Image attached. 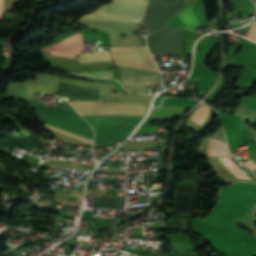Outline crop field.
Instances as JSON below:
<instances>
[{"label": "crop field", "mask_w": 256, "mask_h": 256, "mask_svg": "<svg viewBox=\"0 0 256 256\" xmlns=\"http://www.w3.org/2000/svg\"><path fill=\"white\" fill-rule=\"evenodd\" d=\"M147 3V0H111L110 4L81 18L141 23Z\"/></svg>", "instance_id": "obj_1"}, {"label": "crop field", "mask_w": 256, "mask_h": 256, "mask_svg": "<svg viewBox=\"0 0 256 256\" xmlns=\"http://www.w3.org/2000/svg\"><path fill=\"white\" fill-rule=\"evenodd\" d=\"M69 102L81 115L145 116L147 105L132 103Z\"/></svg>", "instance_id": "obj_2"}, {"label": "crop field", "mask_w": 256, "mask_h": 256, "mask_svg": "<svg viewBox=\"0 0 256 256\" xmlns=\"http://www.w3.org/2000/svg\"><path fill=\"white\" fill-rule=\"evenodd\" d=\"M111 50L112 57L118 66L159 72L154 59L146 48H118Z\"/></svg>", "instance_id": "obj_3"}, {"label": "crop field", "mask_w": 256, "mask_h": 256, "mask_svg": "<svg viewBox=\"0 0 256 256\" xmlns=\"http://www.w3.org/2000/svg\"><path fill=\"white\" fill-rule=\"evenodd\" d=\"M50 50L53 55H62L66 57H74L82 50V41L80 32L65 38L55 44L44 47L41 51Z\"/></svg>", "instance_id": "obj_4"}, {"label": "crop field", "mask_w": 256, "mask_h": 256, "mask_svg": "<svg viewBox=\"0 0 256 256\" xmlns=\"http://www.w3.org/2000/svg\"><path fill=\"white\" fill-rule=\"evenodd\" d=\"M123 83L140 85H160V74L119 67Z\"/></svg>", "instance_id": "obj_5"}, {"label": "crop field", "mask_w": 256, "mask_h": 256, "mask_svg": "<svg viewBox=\"0 0 256 256\" xmlns=\"http://www.w3.org/2000/svg\"><path fill=\"white\" fill-rule=\"evenodd\" d=\"M176 16L182 20L188 28L194 31L195 27L199 26L198 20L193 13L192 4L185 6Z\"/></svg>", "instance_id": "obj_6"}, {"label": "crop field", "mask_w": 256, "mask_h": 256, "mask_svg": "<svg viewBox=\"0 0 256 256\" xmlns=\"http://www.w3.org/2000/svg\"><path fill=\"white\" fill-rule=\"evenodd\" d=\"M208 154L209 156L229 155L226 144L218 140L209 141Z\"/></svg>", "instance_id": "obj_7"}, {"label": "crop field", "mask_w": 256, "mask_h": 256, "mask_svg": "<svg viewBox=\"0 0 256 256\" xmlns=\"http://www.w3.org/2000/svg\"><path fill=\"white\" fill-rule=\"evenodd\" d=\"M76 59H78L81 62L101 61V60H109L110 55L108 52H105V51L92 53V54L83 53L79 55V57Z\"/></svg>", "instance_id": "obj_8"}, {"label": "crop field", "mask_w": 256, "mask_h": 256, "mask_svg": "<svg viewBox=\"0 0 256 256\" xmlns=\"http://www.w3.org/2000/svg\"><path fill=\"white\" fill-rule=\"evenodd\" d=\"M218 158L224 164V166L228 169V171L236 176V178L251 179L247 174H245L238 167H236L230 161L229 157H218Z\"/></svg>", "instance_id": "obj_9"}, {"label": "crop field", "mask_w": 256, "mask_h": 256, "mask_svg": "<svg viewBox=\"0 0 256 256\" xmlns=\"http://www.w3.org/2000/svg\"><path fill=\"white\" fill-rule=\"evenodd\" d=\"M210 109L211 108L202 105L193 112L189 119L201 125L207 117Z\"/></svg>", "instance_id": "obj_10"}, {"label": "crop field", "mask_w": 256, "mask_h": 256, "mask_svg": "<svg viewBox=\"0 0 256 256\" xmlns=\"http://www.w3.org/2000/svg\"><path fill=\"white\" fill-rule=\"evenodd\" d=\"M46 127L49 128V129H51V130H54V131H56V132H59V133H61V134H64V135H67V136L76 138V139H78V140H81V141H83V142H85V143H90V144H92V142H93L92 140H89V139H86V138H84V137H81V136H78V135L69 133V132H67V131H64V130L55 128V127L50 126V125H47V124H46Z\"/></svg>", "instance_id": "obj_11"}, {"label": "crop field", "mask_w": 256, "mask_h": 256, "mask_svg": "<svg viewBox=\"0 0 256 256\" xmlns=\"http://www.w3.org/2000/svg\"><path fill=\"white\" fill-rule=\"evenodd\" d=\"M79 74H83L87 76H95V77L112 78L111 71H87Z\"/></svg>", "instance_id": "obj_12"}, {"label": "crop field", "mask_w": 256, "mask_h": 256, "mask_svg": "<svg viewBox=\"0 0 256 256\" xmlns=\"http://www.w3.org/2000/svg\"><path fill=\"white\" fill-rule=\"evenodd\" d=\"M102 34L85 32L84 40H101Z\"/></svg>", "instance_id": "obj_13"}, {"label": "crop field", "mask_w": 256, "mask_h": 256, "mask_svg": "<svg viewBox=\"0 0 256 256\" xmlns=\"http://www.w3.org/2000/svg\"><path fill=\"white\" fill-rule=\"evenodd\" d=\"M247 38H250V39H253L256 41V22H254L250 29H249V32L247 34Z\"/></svg>", "instance_id": "obj_14"}, {"label": "crop field", "mask_w": 256, "mask_h": 256, "mask_svg": "<svg viewBox=\"0 0 256 256\" xmlns=\"http://www.w3.org/2000/svg\"><path fill=\"white\" fill-rule=\"evenodd\" d=\"M244 165H246L247 167H249L250 169H254L256 168V165L253 164L250 160L248 162H246Z\"/></svg>", "instance_id": "obj_15"}]
</instances>
